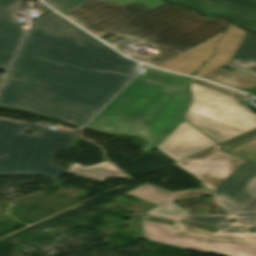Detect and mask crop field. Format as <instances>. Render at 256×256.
Wrapping results in <instances>:
<instances>
[{"label":"crop field","instance_id":"crop-field-1","mask_svg":"<svg viewBox=\"0 0 256 256\" xmlns=\"http://www.w3.org/2000/svg\"><path fill=\"white\" fill-rule=\"evenodd\" d=\"M135 66L52 11L33 20L0 88V106L71 117L81 126L134 76Z\"/></svg>","mask_w":256,"mask_h":256},{"label":"crop field","instance_id":"crop-field-2","mask_svg":"<svg viewBox=\"0 0 256 256\" xmlns=\"http://www.w3.org/2000/svg\"><path fill=\"white\" fill-rule=\"evenodd\" d=\"M64 15L98 37L110 33L150 44L160 52L143 58L129 56L155 66L228 27L225 19L202 18L189 9L167 3L149 9L138 2L123 5L90 0Z\"/></svg>","mask_w":256,"mask_h":256},{"label":"crop field","instance_id":"crop-field-3","mask_svg":"<svg viewBox=\"0 0 256 256\" xmlns=\"http://www.w3.org/2000/svg\"><path fill=\"white\" fill-rule=\"evenodd\" d=\"M145 68L86 127L137 135L150 142L145 147L150 153L183 121L190 78Z\"/></svg>","mask_w":256,"mask_h":256},{"label":"crop field","instance_id":"crop-field-4","mask_svg":"<svg viewBox=\"0 0 256 256\" xmlns=\"http://www.w3.org/2000/svg\"><path fill=\"white\" fill-rule=\"evenodd\" d=\"M176 219L173 226L141 220L143 236L150 241L179 246L195 251H215L226 256H256V213L227 215H171L155 216ZM236 218L234 223L228 220ZM179 220L202 222L217 226V233L187 227ZM179 226H175V225ZM177 227L179 230L172 229ZM231 227V228H227ZM224 229V231H221Z\"/></svg>","mask_w":256,"mask_h":256},{"label":"crop field","instance_id":"crop-field-5","mask_svg":"<svg viewBox=\"0 0 256 256\" xmlns=\"http://www.w3.org/2000/svg\"><path fill=\"white\" fill-rule=\"evenodd\" d=\"M25 129L36 134L25 135ZM74 134L0 118V174L42 173L56 180L65 170L50 159L55 152L65 150Z\"/></svg>","mask_w":256,"mask_h":256},{"label":"crop field","instance_id":"crop-field-6","mask_svg":"<svg viewBox=\"0 0 256 256\" xmlns=\"http://www.w3.org/2000/svg\"><path fill=\"white\" fill-rule=\"evenodd\" d=\"M189 112L246 132L256 127V114L237 103V98L192 83Z\"/></svg>","mask_w":256,"mask_h":256},{"label":"crop field","instance_id":"crop-field-7","mask_svg":"<svg viewBox=\"0 0 256 256\" xmlns=\"http://www.w3.org/2000/svg\"><path fill=\"white\" fill-rule=\"evenodd\" d=\"M245 161L224 153L217 144L174 164L195 175L214 191Z\"/></svg>","mask_w":256,"mask_h":256},{"label":"crop field","instance_id":"crop-field-8","mask_svg":"<svg viewBox=\"0 0 256 256\" xmlns=\"http://www.w3.org/2000/svg\"><path fill=\"white\" fill-rule=\"evenodd\" d=\"M214 195L229 212H256V162L247 160Z\"/></svg>","mask_w":256,"mask_h":256},{"label":"crop field","instance_id":"crop-field-9","mask_svg":"<svg viewBox=\"0 0 256 256\" xmlns=\"http://www.w3.org/2000/svg\"><path fill=\"white\" fill-rule=\"evenodd\" d=\"M24 0H0V69L8 65L25 33L21 23L14 17ZM3 76L0 75V81Z\"/></svg>","mask_w":256,"mask_h":256},{"label":"crop field","instance_id":"crop-field-10","mask_svg":"<svg viewBox=\"0 0 256 256\" xmlns=\"http://www.w3.org/2000/svg\"><path fill=\"white\" fill-rule=\"evenodd\" d=\"M214 144L216 142L183 121L156 148L179 161Z\"/></svg>","mask_w":256,"mask_h":256},{"label":"crop field","instance_id":"crop-field-11","mask_svg":"<svg viewBox=\"0 0 256 256\" xmlns=\"http://www.w3.org/2000/svg\"><path fill=\"white\" fill-rule=\"evenodd\" d=\"M193 6L206 15H228L240 25L256 31V0H171Z\"/></svg>","mask_w":256,"mask_h":256},{"label":"crop field","instance_id":"crop-field-12","mask_svg":"<svg viewBox=\"0 0 256 256\" xmlns=\"http://www.w3.org/2000/svg\"><path fill=\"white\" fill-rule=\"evenodd\" d=\"M127 194L158 205L146 212L149 215L188 214L183 209L172 203L173 199L212 194L210 189L192 190L169 193L148 183L128 192Z\"/></svg>","mask_w":256,"mask_h":256},{"label":"crop field","instance_id":"crop-field-13","mask_svg":"<svg viewBox=\"0 0 256 256\" xmlns=\"http://www.w3.org/2000/svg\"><path fill=\"white\" fill-rule=\"evenodd\" d=\"M223 32L190 50L188 49L189 51L159 65L158 67L192 75L209 56L213 55L214 49Z\"/></svg>","mask_w":256,"mask_h":256},{"label":"crop field","instance_id":"crop-field-14","mask_svg":"<svg viewBox=\"0 0 256 256\" xmlns=\"http://www.w3.org/2000/svg\"><path fill=\"white\" fill-rule=\"evenodd\" d=\"M245 33V31L235 27L234 25L230 26L227 33L221 39L215 56L208 61V64L201 67L195 76L201 77L217 69L220 65L227 63L231 59Z\"/></svg>","mask_w":256,"mask_h":256},{"label":"crop field","instance_id":"crop-field-15","mask_svg":"<svg viewBox=\"0 0 256 256\" xmlns=\"http://www.w3.org/2000/svg\"><path fill=\"white\" fill-rule=\"evenodd\" d=\"M225 66L256 77L252 72L256 69V35L247 32L232 59Z\"/></svg>","mask_w":256,"mask_h":256},{"label":"crop field","instance_id":"crop-field-16","mask_svg":"<svg viewBox=\"0 0 256 256\" xmlns=\"http://www.w3.org/2000/svg\"><path fill=\"white\" fill-rule=\"evenodd\" d=\"M183 118L197 127L203 133L216 140L218 143L243 133L187 111Z\"/></svg>","mask_w":256,"mask_h":256},{"label":"crop field","instance_id":"crop-field-17","mask_svg":"<svg viewBox=\"0 0 256 256\" xmlns=\"http://www.w3.org/2000/svg\"><path fill=\"white\" fill-rule=\"evenodd\" d=\"M220 144L228 153L256 160V128Z\"/></svg>","mask_w":256,"mask_h":256},{"label":"crop field","instance_id":"crop-field-18","mask_svg":"<svg viewBox=\"0 0 256 256\" xmlns=\"http://www.w3.org/2000/svg\"><path fill=\"white\" fill-rule=\"evenodd\" d=\"M202 78L222 84L224 86L240 90L256 85V78L241 73L239 71L230 72L219 68Z\"/></svg>","mask_w":256,"mask_h":256},{"label":"crop field","instance_id":"crop-field-19","mask_svg":"<svg viewBox=\"0 0 256 256\" xmlns=\"http://www.w3.org/2000/svg\"><path fill=\"white\" fill-rule=\"evenodd\" d=\"M67 173L104 181L106 177H127L123 173H121L118 169L112 166L108 162H101L99 164L82 167L78 163H75Z\"/></svg>","mask_w":256,"mask_h":256},{"label":"crop field","instance_id":"crop-field-20","mask_svg":"<svg viewBox=\"0 0 256 256\" xmlns=\"http://www.w3.org/2000/svg\"><path fill=\"white\" fill-rule=\"evenodd\" d=\"M87 1L88 0H45L47 4L62 14L82 5Z\"/></svg>","mask_w":256,"mask_h":256},{"label":"crop field","instance_id":"crop-field-21","mask_svg":"<svg viewBox=\"0 0 256 256\" xmlns=\"http://www.w3.org/2000/svg\"><path fill=\"white\" fill-rule=\"evenodd\" d=\"M111 1L119 2L123 4L139 1L140 3L144 4L149 8H154L165 2L164 0H111Z\"/></svg>","mask_w":256,"mask_h":256},{"label":"crop field","instance_id":"crop-field-22","mask_svg":"<svg viewBox=\"0 0 256 256\" xmlns=\"http://www.w3.org/2000/svg\"><path fill=\"white\" fill-rule=\"evenodd\" d=\"M193 82L197 83V84H200V85H203V86H206L208 88H211V89H214V90H217V91H220V92H223V93H226V94H229V95L237 97L236 96V92H233V91L228 90L226 88L219 87V86H216V85H213V84H209V83H206V82H203V81H199V80H196V79H194Z\"/></svg>","mask_w":256,"mask_h":256},{"label":"crop field","instance_id":"crop-field-23","mask_svg":"<svg viewBox=\"0 0 256 256\" xmlns=\"http://www.w3.org/2000/svg\"><path fill=\"white\" fill-rule=\"evenodd\" d=\"M111 46H113L114 48H116L117 50L121 51V52L124 53V54H128V53L131 52V51H129V50L123 48V47H120V46L116 45V44H113V45H111Z\"/></svg>","mask_w":256,"mask_h":256}]
</instances>
